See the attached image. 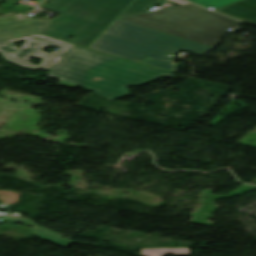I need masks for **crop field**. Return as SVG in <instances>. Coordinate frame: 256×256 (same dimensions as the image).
<instances>
[{
  "label": "crop field",
  "mask_w": 256,
  "mask_h": 256,
  "mask_svg": "<svg viewBox=\"0 0 256 256\" xmlns=\"http://www.w3.org/2000/svg\"><path fill=\"white\" fill-rule=\"evenodd\" d=\"M167 75L170 73L75 46L48 72V77L60 79L62 86L91 89L108 100L129 95L126 87Z\"/></svg>",
  "instance_id": "1"
},
{
  "label": "crop field",
  "mask_w": 256,
  "mask_h": 256,
  "mask_svg": "<svg viewBox=\"0 0 256 256\" xmlns=\"http://www.w3.org/2000/svg\"><path fill=\"white\" fill-rule=\"evenodd\" d=\"M132 0H75L53 20H31L23 14L0 18V41L43 35L87 47ZM73 39H67L68 36Z\"/></svg>",
  "instance_id": "2"
},
{
  "label": "crop field",
  "mask_w": 256,
  "mask_h": 256,
  "mask_svg": "<svg viewBox=\"0 0 256 256\" xmlns=\"http://www.w3.org/2000/svg\"><path fill=\"white\" fill-rule=\"evenodd\" d=\"M211 48L119 19L89 47L174 72L175 63L167 54L183 50L200 56Z\"/></svg>",
  "instance_id": "3"
},
{
  "label": "crop field",
  "mask_w": 256,
  "mask_h": 256,
  "mask_svg": "<svg viewBox=\"0 0 256 256\" xmlns=\"http://www.w3.org/2000/svg\"><path fill=\"white\" fill-rule=\"evenodd\" d=\"M120 19L212 47L228 28L239 24L192 4Z\"/></svg>",
  "instance_id": "4"
},
{
  "label": "crop field",
  "mask_w": 256,
  "mask_h": 256,
  "mask_svg": "<svg viewBox=\"0 0 256 256\" xmlns=\"http://www.w3.org/2000/svg\"><path fill=\"white\" fill-rule=\"evenodd\" d=\"M25 41L20 48L14 46V42ZM53 46L60 50L57 52L46 53L42 50L45 47ZM73 46V44L61 42L58 40L35 35L5 42H0V53L4 58L16 65L24 68L36 70L38 68L50 70L54 64ZM43 59L42 63L37 66L31 64L34 58Z\"/></svg>",
  "instance_id": "5"
},
{
  "label": "crop field",
  "mask_w": 256,
  "mask_h": 256,
  "mask_svg": "<svg viewBox=\"0 0 256 256\" xmlns=\"http://www.w3.org/2000/svg\"><path fill=\"white\" fill-rule=\"evenodd\" d=\"M215 11L256 24V0H243Z\"/></svg>",
  "instance_id": "6"
},
{
  "label": "crop field",
  "mask_w": 256,
  "mask_h": 256,
  "mask_svg": "<svg viewBox=\"0 0 256 256\" xmlns=\"http://www.w3.org/2000/svg\"><path fill=\"white\" fill-rule=\"evenodd\" d=\"M159 1L160 0H136L121 14L120 17L144 13L154 7Z\"/></svg>",
  "instance_id": "7"
},
{
  "label": "crop field",
  "mask_w": 256,
  "mask_h": 256,
  "mask_svg": "<svg viewBox=\"0 0 256 256\" xmlns=\"http://www.w3.org/2000/svg\"><path fill=\"white\" fill-rule=\"evenodd\" d=\"M31 231L37 236L63 247H66L71 243V240L63 239L61 236L39 227H34Z\"/></svg>",
  "instance_id": "8"
},
{
  "label": "crop field",
  "mask_w": 256,
  "mask_h": 256,
  "mask_svg": "<svg viewBox=\"0 0 256 256\" xmlns=\"http://www.w3.org/2000/svg\"><path fill=\"white\" fill-rule=\"evenodd\" d=\"M142 256H161L162 254L184 255L189 254V248H158L142 249Z\"/></svg>",
  "instance_id": "9"
},
{
  "label": "crop field",
  "mask_w": 256,
  "mask_h": 256,
  "mask_svg": "<svg viewBox=\"0 0 256 256\" xmlns=\"http://www.w3.org/2000/svg\"><path fill=\"white\" fill-rule=\"evenodd\" d=\"M49 5L42 4L40 8L60 15L74 0H46Z\"/></svg>",
  "instance_id": "10"
},
{
  "label": "crop field",
  "mask_w": 256,
  "mask_h": 256,
  "mask_svg": "<svg viewBox=\"0 0 256 256\" xmlns=\"http://www.w3.org/2000/svg\"><path fill=\"white\" fill-rule=\"evenodd\" d=\"M189 1H192V2H194L198 5H201L205 8L211 6L215 9H217L219 7H222V6H225L228 4H232V3L238 2L240 0H189Z\"/></svg>",
  "instance_id": "11"
},
{
  "label": "crop field",
  "mask_w": 256,
  "mask_h": 256,
  "mask_svg": "<svg viewBox=\"0 0 256 256\" xmlns=\"http://www.w3.org/2000/svg\"><path fill=\"white\" fill-rule=\"evenodd\" d=\"M6 219L11 220V221H16V222H21V223H26V224L32 225V223L30 221L18 219V218H15V217H7Z\"/></svg>",
  "instance_id": "12"
},
{
  "label": "crop field",
  "mask_w": 256,
  "mask_h": 256,
  "mask_svg": "<svg viewBox=\"0 0 256 256\" xmlns=\"http://www.w3.org/2000/svg\"><path fill=\"white\" fill-rule=\"evenodd\" d=\"M4 1V0H0V3ZM6 1H10V2H14V3H17L19 0H6Z\"/></svg>",
  "instance_id": "13"
}]
</instances>
